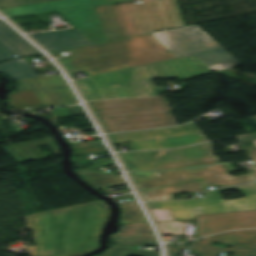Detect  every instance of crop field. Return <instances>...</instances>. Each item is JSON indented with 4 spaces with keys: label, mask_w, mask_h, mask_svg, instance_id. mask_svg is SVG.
I'll use <instances>...</instances> for the list:
<instances>
[{
    "label": "crop field",
    "mask_w": 256,
    "mask_h": 256,
    "mask_svg": "<svg viewBox=\"0 0 256 256\" xmlns=\"http://www.w3.org/2000/svg\"><path fill=\"white\" fill-rule=\"evenodd\" d=\"M120 156L124 161L127 169L131 170L165 163L210 157L213 156V152L209 142L177 150L120 153Z\"/></svg>",
    "instance_id": "crop-field-9"
},
{
    "label": "crop field",
    "mask_w": 256,
    "mask_h": 256,
    "mask_svg": "<svg viewBox=\"0 0 256 256\" xmlns=\"http://www.w3.org/2000/svg\"><path fill=\"white\" fill-rule=\"evenodd\" d=\"M182 248V246L176 245L168 246L170 256H179Z\"/></svg>",
    "instance_id": "crop-field-35"
},
{
    "label": "crop field",
    "mask_w": 256,
    "mask_h": 256,
    "mask_svg": "<svg viewBox=\"0 0 256 256\" xmlns=\"http://www.w3.org/2000/svg\"><path fill=\"white\" fill-rule=\"evenodd\" d=\"M216 163H219L217 156L204 158V159L185 161V162L159 165V166H156V168L157 170L176 169V168H187V167H195V166H202V165H209V164H216Z\"/></svg>",
    "instance_id": "crop-field-28"
},
{
    "label": "crop field",
    "mask_w": 256,
    "mask_h": 256,
    "mask_svg": "<svg viewBox=\"0 0 256 256\" xmlns=\"http://www.w3.org/2000/svg\"><path fill=\"white\" fill-rule=\"evenodd\" d=\"M130 100H131L133 109L167 106L163 97L141 98V99H130Z\"/></svg>",
    "instance_id": "crop-field-29"
},
{
    "label": "crop field",
    "mask_w": 256,
    "mask_h": 256,
    "mask_svg": "<svg viewBox=\"0 0 256 256\" xmlns=\"http://www.w3.org/2000/svg\"><path fill=\"white\" fill-rule=\"evenodd\" d=\"M237 189L245 198L222 200L217 192ZM205 198L196 200L168 201L148 203L150 209H182V208H199L216 204L234 202L239 200L251 199L256 200V183L236 186L228 189L210 191L204 193Z\"/></svg>",
    "instance_id": "crop-field-12"
},
{
    "label": "crop field",
    "mask_w": 256,
    "mask_h": 256,
    "mask_svg": "<svg viewBox=\"0 0 256 256\" xmlns=\"http://www.w3.org/2000/svg\"><path fill=\"white\" fill-rule=\"evenodd\" d=\"M205 191L201 181L143 192L146 201L174 199L172 194Z\"/></svg>",
    "instance_id": "crop-field-22"
},
{
    "label": "crop field",
    "mask_w": 256,
    "mask_h": 256,
    "mask_svg": "<svg viewBox=\"0 0 256 256\" xmlns=\"http://www.w3.org/2000/svg\"><path fill=\"white\" fill-rule=\"evenodd\" d=\"M121 224L146 221L137 203L123 204Z\"/></svg>",
    "instance_id": "crop-field-26"
},
{
    "label": "crop field",
    "mask_w": 256,
    "mask_h": 256,
    "mask_svg": "<svg viewBox=\"0 0 256 256\" xmlns=\"http://www.w3.org/2000/svg\"><path fill=\"white\" fill-rule=\"evenodd\" d=\"M31 36L50 52L90 45L76 29L36 33Z\"/></svg>",
    "instance_id": "crop-field-15"
},
{
    "label": "crop field",
    "mask_w": 256,
    "mask_h": 256,
    "mask_svg": "<svg viewBox=\"0 0 256 256\" xmlns=\"http://www.w3.org/2000/svg\"><path fill=\"white\" fill-rule=\"evenodd\" d=\"M75 55L60 58L70 73L86 70L90 75L175 58L151 34L71 50ZM169 51L170 54L164 53Z\"/></svg>",
    "instance_id": "crop-field-3"
},
{
    "label": "crop field",
    "mask_w": 256,
    "mask_h": 256,
    "mask_svg": "<svg viewBox=\"0 0 256 256\" xmlns=\"http://www.w3.org/2000/svg\"><path fill=\"white\" fill-rule=\"evenodd\" d=\"M45 1H51V0H0V9L45 2Z\"/></svg>",
    "instance_id": "crop-field-30"
},
{
    "label": "crop field",
    "mask_w": 256,
    "mask_h": 256,
    "mask_svg": "<svg viewBox=\"0 0 256 256\" xmlns=\"http://www.w3.org/2000/svg\"><path fill=\"white\" fill-rule=\"evenodd\" d=\"M251 171V173L254 175V177L256 178V169H252V170H250Z\"/></svg>",
    "instance_id": "crop-field-39"
},
{
    "label": "crop field",
    "mask_w": 256,
    "mask_h": 256,
    "mask_svg": "<svg viewBox=\"0 0 256 256\" xmlns=\"http://www.w3.org/2000/svg\"><path fill=\"white\" fill-rule=\"evenodd\" d=\"M118 132L176 125L170 112L112 118Z\"/></svg>",
    "instance_id": "crop-field-14"
},
{
    "label": "crop field",
    "mask_w": 256,
    "mask_h": 256,
    "mask_svg": "<svg viewBox=\"0 0 256 256\" xmlns=\"http://www.w3.org/2000/svg\"><path fill=\"white\" fill-rule=\"evenodd\" d=\"M45 145H47L58 156L61 155L60 149L56 145V142L53 139V137L4 146L3 148L11 155V157L18 164H21L25 162L47 158L48 156L39 148Z\"/></svg>",
    "instance_id": "crop-field-17"
},
{
    "label": "crop field",
    "mask_w": 256,
    "mask_h": 256,
    "mask_svg": "<svg viewBox=\"0 0 256 256\" xmlns=\"http://www.w3.org/2000/svg\"><path fill=\"white\" fill-rule=\"evenodd\" d=\"M18 90L38 89L66 85L60 75L15 81Z\"/></svg>",
    "instance_id": "crop-field-24"
},
{
    "label": "crop field",
    "mask_w": 256,
    "mask_h": 256,
    "mask_svg": "<svg viewBox=\"0 0 256 256\" xmlns=\"http://www.w3.org/2000/svg\"><path fill=\"white\" fill-rule=\"evenodd\" d=\"M104 146L75 149L72 150L74 154L87 153V154H96V153H106Z\"/></svg>",
    "instance_id": "crop-field-32"
},
{
    "label": "crop field",
    "mask_w": 256,
    "mask_h": 256,
    "mask_svg": "<svg viewBox=\"0 0 256 256\" xmlns=\"http://www.w3.org/2000/svg\"><path fill=\"white\" fill-rule=\"evenodd\" d=\"M213 73L196 56L171 60L77 81L87 101L153 96L158 94L150 79L181 80Z\"/></svg>",
    "instance_id": "crop-field-2"
},
{
    "label": "crop field",
    "mask_w": 256,
    "mask_h": 256,
    "mask_svg": "<svg viewBox=\"0 0 256 256\" xmlns=\"http://www.w3.org/2000/svg\"><path fill=\"white\" fill-rule=\"evenodd\" d=\"M213 241L227 243L233 249L211 246ZM219 252H233V256H256V230L225 232L204 238L198 256H219Z\"/></svg>",
    "instance_id": "crop-field-10"
},
{
    "label": "crop field",
    "mask_w": 256,
    "mask_h": 256,
    "mask_svg": "<svg viewBox=\"0 0 256 256\" xmlns=\"http://www.w3.org/2000/svg\"><path fill=\"white\" fill-rule=\"evenodd\" d=\"M201 241L200 240H195L192 242L191 245H193L192 251H198L199 246H200Z\"/></svg>",
    "instance_id": "crop-field-36"
},
{
    "label": "crop field",
    "mask_w": 256,
    "mask_h": 256,
    "mask_svg": "<svg viewBox=\"0 0 256 256\" xmlns=\"http://www.w3.org/2000/svg\"><path fill=\"white\" fill-rule=\"evenodd\" d=\"M45 106L78 103L68 86L35 90Z\"/></svg>",
    "instance_id": "crop-field-21"
},
{
    "label": "crop field",
    "mask_w": 256,
    "mask_h": 256,
    "mask_svg": "<svg viewBox=\"0 0 256 256\" xmlns=\"http://www.w3.org/2000/svg\"><path fill=\"white\" fill-rule=\"evenodd\" d=\"M151 34L178 58L196 55L213 71L241 65L197 25Z\"/></svg>",
    "instance_id": "crop-field-5"
},
{
    "label": "crop field",
    "mask_w": 256,
    "mask_h": 256,
    "mask_svg": "<svg viewBox=\"0 0 256 256\" xmlns=\"http://www.w3.org/2000/svg\"><path fill=\"white\" fill-rule=\"evenodd\" d=\"M228 164L194 168L180 171L158 172L160 178L136 183L141 191L202 179L206 188L222 185L224 187L254 181L250 174L233 177Z\"/></svg>",
    "instance_id": "crop-field-8"
},
{
    "label": "crop field",
    "mask_w": 256,
    "mask_h": 256,
    "mask_svg": "<svg viewBox=\"0 0 256 256\" xmlns=\"http://www.w3.org/2000/svg\"><path fill=\"white\" fill-rule=\"evenodd\" d=\"M112 165H115L114 162L87 167L84 169L76 170V172L84 180H86L92 187L96 189L127 185L125 180H123L121 176H113L111 172H106V173L84 172V170L112 166Z\"/></svg>",
    "instance_id": "crop-field-20"
},
{
    "label": "crop field",
    "mask_w": 256,
    "mask_h": 256,
    "mask_svg": "<svg viewBox=\"0 0 256 256\" xmlns=\"http://www.w3.org/2000/svg\"><path fill=\"white\" fill-rule=\"evenodd\" d=\"M256 210L254 199L199 209L171 210L175 220L196 219V215Z\"/></svg>",
    "instance_id": "crop-field-19"
},
{
    "label": "crop field",
    "mask_w": 256,
    "mask_h": 256,
    "mask_svg": "<svg viewBox=\"0 0 256 256\" xmlns=\"http://www.w3.org/2000/svg\"><path fill=\"white\" fill-rule=\"evenodd\" d=\"M248 119H250L253 123L256 124V117H251ZM237 138L239 139L240 142L256 140V133L238 136Z\"/></svg>",
    "instance_id": "crop-field-34"
},
{
    "label": "crop field",
    "mask_w": 256,
    "mask_h": 256,
    "mask_svg": "<svg viewBox=\"0 0 256 256\" xmlns=\"http://www.w3.org/2000/svg\"><path fill=\"white\" fill-rule=\"evenodd\" d=\"M130 1L133 0H58L3 9L2 11L8 16H13L57 10L67 21L96 44L107 40L94 7Z\"/></svg>",
    "instance_id": "crop-field-6"
},
{
    "label": "crop field",
    "mask_w": 256,
    "mask_h": 256,
    "mask_svg": "<svg viewBox=\"0 0 256 256\" xmlns=\"http://www.w3.org/2000/svg\"><path fill=\"white\" fill-rule=\"evenodd\" d=\"M107 216L108 208L102 201L29 216L36 241L30 255L79 256L97 248Z\"/></svg>",
    "instance_id": "crop-field-1"
},
{
    "label": "crop field",
    "mask_w": 256,
    "mask_h": 256,
    "mask_svg": "<svg viewBox=\"0 0 256 256\" xmlns=\"http://www.w3.org/2000/svg\"><path fill=\"white\" fill-rule=\"evenodd\" d=\"M0 73L7 75L12 80L38 77L23 58L0 64Z\"/></svg>",
    "instance_id": "crop-field-23"
},
{
    "label": "crop field",
    "mask_w": 256,
    "mask_h": 256,
    "mask_svg": "<svg viewBox=\"0 0 256 256\" xmlns=\"http://www.w3.org/2000/svg\"><path fill=\"white\" fill-rule=\"evenodd\" d=\"M256 211L200 216L197 237L230 229L255 228Z\"/></svg>",
    "instance_id": "crop-field-11"
},
{
    "label": "crop field",
    "mask_w": 256,
    "mask_h": 256,
    "mask_svg": "<svg viewBox=\"0 0 256 256\" xmlns=\"http://www.w3.org/2000/svg\"><path fill=\"white\" fill-rule=\"evenodd\" d=\"M142 1L95 8L108 41L185 25L176 0Z\"/></svg>",
    "instance_id": "crop-field-4"
},
{
    "label": "crop field",
    "mask_w": 256,
    "mask_h": 256,
    "mask_svg": "<svg viewBox=\"0 0 256 256\" xmlns=\"http://www.w3.org/2000/svg\"><path fill=\"white\" fill-rule=\"evenodd\" d=\"M248 154L253 162L256 164V151H249Z\"/></svg>",
    "instance_id": "crop-field-37"
},
{
    "label": "crop field",
    "mask_w": 256,
    "mask_h": 256,
    "mask_svg": "<svg viewBox=\"0 0 256 256\" xmlns=\"http://www.w3.org/2000/svg\"><path fill=\"white\" fill-rule=\"evenodd\" d=\"M118 233L112 235L114 244L141 246L158 245L156 238L147 222L121 225Z\"/></svg>",
    "instance_id": "crop-field-18"
},
{
    "label": "crop field",
    "mask_w": 256,
    "mask_h": 256,
    "mask_svg": "<svg viewBox=\"0 0 256 256\" xmlns=\"http://www.w3.org/2000/svg\"><path fill=\"white\" fill-rule=\"evenodd\" d=\"M109 137L114 144L131 141L135 150L173 148L208 141L194 123L175 128L113 134Z\"/></svg>",
    "instance_id": "crop-field-7"
},
{
    "label": "crop field",
    "mask_w": 256,
    "mask_h": 256,
    "mask_svg": "<svg viewBox=\"0 0 256 256\" xmlns=\"http://www.w3.org/2000/svg\"><path fill=\"white\" fill-rule=\"evenodd\" d=\"M138 170H156L155 166L153 167H147V168H142V169H137V170H131V171H138Z\"/></svg>",
    "instance_id": "crop-field-38"
},
{
    "label": "crop field",
    "mask_w": 256,
    "mask_h": 256,
    "mask_svg": "<svg viewBox=\"0 0 256 256\" xmlns=\"http://www.w3.org/2000/svg\"><path fill=\"white\" fill-rule=\"evenodd\" d=\"M159 256L158 252L129 250L128 245H114L106 253L99 256Z\"/></svg>",
    "instance_id": "crop-field-27"
},
{
    "label": "crop field",
    "mask_w": 256,
    "mask_h": 256,
    "mask_svg": "<svg viewBox=\"0 0 256 256\" xmlns=\"http://www.w3.org/2000/svg\"><path fill=\"white\" fill-rule=\"evenodd\" d=\"M131 175L134 178L135 182L159 177L157 172H139L131 173Z\"/></svg>",
    "instance_id": "crop-field-31"
},
{
    "label": "crop field",
    "mask_w": 256,
    "mask_h": 256,
    "mask_svg": "<svg viewBox=\"0 0 256 256\" xmlns=\"http://www.w3.org/2000/svg\"><path fill=\"white\" fill-rule=\"evenodd\" d=\"M38 54L36 49L0 20V62L15 58V55L26 57Z\"/></svg>",
    "instance_id": "crop-field-16"
},
{
    "label": "crop field",
    "mask_w": 256,
    "mask_h": 256,
    "mask_svg": "<svg viewBox=\"0 0 256 256\" xmlns=\"http://www.w3.org/2000/svg\"><path fill=\"white\" fill-rule=\"evenodd\" d=\"M90 104L107 133L117 132L110 117L173 111L171 107L132 110L129 99L96 101Z\"/></svg>",
    "instance_id": "crop-field-13"
},
{
    "label": "crop field",
    "mask_w": 256,
    "mask_h": 256,
    "mask_svg": "<svg viewBox=\"0 0 256 256\" xmlns=\"http://www.w3.org/2000/svg\"><path fill=\"white\" fill-rule=\"evenodd\" d=\"M157 221L173 220V222L159 223L165 235H177L182 233V224L174 222L170 210H152Z\"/></svg>",
    "instance_id": "crop-field-25"
},
{
    "label": "crop field",
    "mask_w": 256,
    "mask_h": 256,
    "mask_svg": "<svg viewBox=\"0 0 256 256\" xmlns=\"http://www.w3.org/2000/svg\"><path fill=\"white\" fill-rule=\"evenodd\" d=\"M99 145H103L101 141L74 143V144H71V147L72 149H75V148H83V147H91V146H99Z\"/></svg>",
    "instance_id": "crop-field-33"
}]
</instances>
